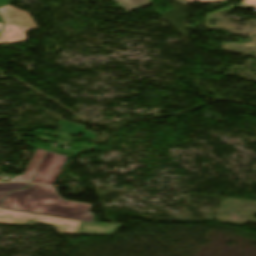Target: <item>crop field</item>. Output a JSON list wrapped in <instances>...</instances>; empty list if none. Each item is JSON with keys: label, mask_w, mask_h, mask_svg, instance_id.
Masks as SVG:
<instances>
[{"label": "crop field", "mask_w": 256, "mask_h": 256, "mask_svg": "<svg viewBox=\"0 0 256 256\" xmlns=\"http://www.w3.org/2000/svg\"><path fill=\"white\" fill-rule=\"evenodd\" d=\"M1 207L87 222L93 219L89 214L91 205L64 201L57 195L54 187L47 185L32 184L26 189L9 192Z\"/></svg>", "instance_id": "crop-field-1"}, {"label": "crop field", "mask_w": 256, "mask_h": 256, "mask_svg": "<svg viewBox=\"0 0 256 256\" xmlns=\"http://www.w3.org/2000/svg\"><path fill=\"white\" fill-rule=\"evenodd\" d=\"M51 224L60 234H78L81 221L0 208V223L33 225Z\"/></svg>", "instance_id": "crop-field-2"}, {"label": "crop field", "mask_w": 256, "mask_h": 256, "mask_svg": "<svg viewBox=\"0 0 256 256\" xmlns=\"http://www.w3.org/2000/svg\"><path fill=\"white\" fill-rule=\"evenodd\" d=\"M67 158V156L48 151L33 178V182L53 185Z\"/></svg>", "instance_id": "crop-field-3"}, {"label": "crop field", "mask_w": 256, "mask_h": 256, "mask_svg": "<svg viewBox=\"0 0 256 256\" xmlns=\"http://www.w3.org/2000/svg\"><path fill=\"white\" fill-rule=\"evenodd\" d=\"M38 29L30 26L6 24L0 34V44L16 43L27 41L25 31Z\"/></svg>", "instance_id": "crop-field-4"}, {"label": "crop field", "mask_w": 256, "mask_h": 256, "mask_svg": "<svg viewBox=\"0 0 256 256\" xmlns=\"http://www.w3.org/2000/svg\"><path fill=\"white\" fill-rule=\"evenodd\" d=\"M0 14L4 17L5 23L36 26L29 14L22 13L10 6L0 8Z\"/></svg>", "instance_id": "crop-field-5"}, {"label": "crop field", "mask_w": 256, "mask_h": 256, "mask_svg": "<svg viewBox=\"0 0 256 256\" xmlns=\"http://www.w3.org/2000/svg\"><path fill=\"white\" fill-rule=\"evenodd\" d=\"M122 224L81 223L79 234L112 235Z\"/></svg>", "instance_id": "crop-field-6"}, {"label": "crop field", "mask_w": 256, "mask_h": 256, "mask_svg": "<svg viewBox=\"0 0 256 256\" xmlns=\"http://www.w3.org/2000/svg\"><path fill=\"white\" fill-rule=\"evenodd\" d=\"M46 153V150H42L37 148L35 153L33 154L32 158L30 159L25 172L21 176H15L14 179L10 181H16V182H24V181H31V178L36 171L37 167L39 166L44 154Z\"/></svg>", "instance_id": "crop-field-7"}, {"label": "crop field", "mask_w": 256, "mask_h": 256, "mask_svg": "<svg viewBox=\"0 0 256 256\" xmlns=\"http://www.w3.org/2000/svg\"><path fill=\"white\" fill-rule=\"evenodd\" d=\"M57 123L63 126L61 132H65L72 135H77L81 133V134H84V139H88L92 141L94 140L95 133L84 130L85 126L78 125L65 120L57 121Z\"/></svg>", "instance_id": "crop-field-8"}, {"label": "crop field", "mask_w": 256, "mask_h": 256, "mask_svg": "<svg viewBox=\"0 0 256 256\" xmlns=\"http://www.w3.org/2000/svg\"><path fill=\"white\" fill-rule=\"evenodd\" d=\"M128 12L153 4L150 0H115Z\"/></svg>", "instance_id": "crop-field-9"}, {"label": "crop field", "mask_w": 256, "mask_h": 256, "mask_svg": "<svg viewBox=\"0 0 256 256\" xmlns=\"http://www.w3.org/2000/svg\"><path fill=\"white\" fill-rule=\"evenodd\" d=\"M27 185H30V184L29 183L27 184L26 183H0V204L6 191L20 189Z\"/></svg>", "instance_id": "crop-field-10"}, {"label": "crop field", "mask_w": 256, "mask_h": 256, "mask_svg": "<svg viewBox=\"0 0 256 256\" xmlns=\"http://www.w3.org/2000/svg\"><path fill=\"white\" fill-rule=\"evenodd\" d=\"M239 6L255 8L256 0H243Z\"/></svg>", "instance_id": "crop-field-11"}, {"label": "crop field", "mask_w": 256, "mask_h": 256, "mask_svg": "<svg viewBox=\"0 0 256 256\" xmlns=\"http://www.w3.org/2000/svg\"><path fill=\"white\" fill-rule=\"evenodd\" d=\"M188 1H195V2H219V1H228V0H188Z\"/></svg>", "instance_id": "crop-field-12"}, {"label": "crop field", "mask_w": 256, "mask_h": 256, "mask_svg": "<svg viewBox=\"0 0 256 256\" xmlns=\"http://www.w3.org/2000/svg\"><path fill=\"white\" fill-rule=\"evenodd\" d=\"M8 0H0V6L7 4Z\"/></svg>", "instance_id": "crop-field-13"}, {"label": "crop field", "mask_w": 256, "mask_h": 256, "mask_svg": "<svg viewBox=\"0 0 256 256\" xmlns=\"http://www.w3.org/2000/svg\"><path fill=\"white\" fill-rule=\"evenodd\" d=\"M2 26H3V24H0V29H1Z\"/></svg>", "instance_id": "crop-field-14"}, {"label": "crop field", "mask_w": 256, "mask_h": 256, "mask_svg": "<svg viewBox=\"0 0 256 256\" xmlns=\"http://www.w3.org/2000/svg\"><path fill=\"white\" fill-rule=\"evenodd\" d=\"M0 23H3L1 19H0Z\"/></svg>", "instance_id": "crop-field-15"}]
</instances>
